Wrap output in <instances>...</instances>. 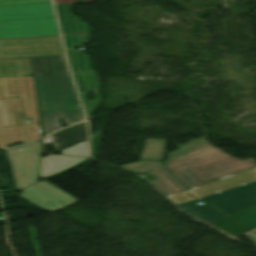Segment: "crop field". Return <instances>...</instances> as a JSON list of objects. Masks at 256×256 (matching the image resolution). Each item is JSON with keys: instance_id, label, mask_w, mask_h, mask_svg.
<instances>
[{"instance_id": "crop-field-9", "label": "crop field", "mask_w": 256, "mask_h": 256, "mask_svg": "<svg viewBox=\"0 0 256 256\" xmlns=\"http://www.w3.org/2000/svg\"><path fill=\"white\" fill-rule=\"evenodd\" d=\"M86 159L88 158L58 155H48V157H42L40 177L44 179Z\"/></svg>"}, {"instance_id": "crop-field-19", "label": "crop field", "mask_w": 256, "mask_h": 256, "mask_svg": "<svg viewBox=\"0 0 256 256\" xmlns=\"http://www.w3.org/2000/svg\"><path fill=\"white\" fill-rule=\"evenodd\" d=\"M161 164H163V162L140 161L137 163L126 164L119 167H122L124 169L140 174L146 170H149Z\"/></svg>"}, {"instance_id": "crop-field-20", "label": "crop field", "mask_w": 256, "mask_h": 256, "mask_svg": "<svg viewBox=\"0 0 256 256\" xmlns=\"http://www.w3.org/2000/svg\"><path fill=\"white\" fill-rule=\"evenodd\" d=\"M63 155H77L81 153L82 156H88V144L87 141L73 147L67 148L61 151ZM78 156V155H77Z\"/></svg>"}, {"instance_id": "crop-field-8", "label": "crop field", "mask_w": 256, "mask_h": 256, "mask_svg": "<svg viewBox=\"0 0 256 256\" xmlns=\"http://www.w3.org/2000/svg\"><path fill=\"white\" fill-rule=\"evenodd\" d=\"M256 180V168L223 177L215 182L190 189V194L199 198Z\"/></svg>"}, {"instance_id": "crop-field-21", "label": "crop field", "mask_w": 256, "mask_h": 256, "mask_svg": "<svg viewBox=\"0 0 256 256\" xmlns=\"http://www.w3.org/2000/svg\"><path fill=\"white\" fill-rule=\"evenodd\" d=\"M173 203L181 204L193 200L194 198L188 195L187 190L176 195L168 196Z\"/></svg>"}, {"instance_id": "crop-field-12", "label": "crop field", "mask_w": 256, "mask_h": 256, "mask_svg": "<svg viewBox=\"0 0 256 256\" xmlns=\"http://www.w3.org/2000/svg\"><path fill=\"white\" fill-rule=\"evenodd\" d=\"M35 75L69 73L64 56L31 58Z\"/></svg>"}, {"instance_id": "crop-field-22", "label": "crop field", "mask_w": 256, "mask_h": 256, "mask_svg": "<svg viewBox=\"0 0 256 256\" xmlns=\"http://www.w3.org/2000/svg\"><path fill=\"white\" fill-rule=\"evenodd\" d=\"M44 2H50V1L49 0H0V6L31 4V3H44Z\"/></svg>"}, {"instance_id": "crop-field-14", "label": "crop field", "mask_w": 256, "mask_h": 256, "mask_svg": "<svg viewBox=\"0 0 256 256\" xmlns=\"http://www.w3.org/2000/svg\"><path fill=\"white\" fill-rule=\"evenodd\" d=\"M33 76L29 58L0 61V78Z\"/></svg>"}, {"instance_id": "crop-field-11", "label": "crop field", "mask_w": 256, "mask_h": 256, "mask_svg": "<svg viewBox=\"0 0 256 256\" xmlns=\"http://www.w3.org/2000/svg\"><path fill=\"white\" fill-rule=\"evenodd\" d=\"M157 179L150 180L161 192L166 196L178 193L185 189V187L175 179L165 165H161L149 170Z\"/></svg>"}, {"instance_id": "crop-field-18", "label": "crop field", "mask_w": 256, "mask_h": 256, "mask_svg": "<svg viewBox=\"0 0 256 256\" xmlns=\"http://www.w3.org/2000/svg\"><path fill=\"white\" fill-rule=\"evenodd\" d=\"M231 218L254 230L256 229V206L237 213Z\"/></svg>"}, {"instance_id": "crop-field-1", "label": "crop field", "mask_w": 256, "mask_h": 256, "mask_svg": "<svg viewBox=\"0 0 256 256\" xmlns=\"http://www.w3.org/2000/svg\"><path fill=\"white\" fill-rule=\"evenodd\" d=\"M92 0L78 2L76 0H54L59 23L63 33L72 73L79 90L82 105L84 107L87 119L89 114L95 112L102 100L98 90L100 82L97 72L93 71L89 55H86L75 47H83L82 44L91 41L88 32L90 31L88 23L81 22V19L72 15L70 6L72 3H89ZM96 91L93 93L95 99L87 102L86 92Z\"/></svg>"}, {"instance_id": "crop-field-3", "label": "crop field", "mask_w": 256, "mask_h": 256, "mask_svg": "<svg viewBox=\"0 0 256 256\" xmlns=\"http://www.w3.org/2000/svg\"><path fill=\"white\" fill-rule=\"evenodd\" d=\"M172 173L189 189L206 182L256 167L253 157L239 160L210 144L167 163Z\"/></svg>"}, {"instance_id": "crop-field-7", "label": "crop field", "mask_w": 256, "mask_h": 256, "mask_svg": "<svg viewBox=\"0 0 256 256\" xmlns=\"http://www.w3.org/2000/svg\"><path fill=\"white\" fill-rule=\"evenodd\" d=\"M199 199L231 216L256 205V181Z\"/></svg>"}, {"instance_id": "crop-field-13", "label": "crop field", "mask_w": 256, "mask_h": 256, "mask_svg": "<svg viewBox=\"0 0 256 256\" xmlns=\"http://www.w3.org/2000/svg\"><path fill=\"white\" fill-rule=\"evenodd\" d=\"M199 200H193L188 203L178 205L183 211L197 218L198 220L212 223L216 220L227 217L226 215L214 210L213 208L202 204H197Z\"/></svg>"}, {"instance_id": "crop-field-16", "label": "crop field", "mask_w": 256, "mask_h": 256, "mask_svg": "<svg viewBox=\"0 0 256 256\" xmlns=\"http://www.w3.org/2000/svg\"><path fill=\"white\" fill-rule=\"evenodd\" d=\"M150 140L151 143H149ZM165 142L164 140L148 139L140 159L160 160Z\"/></svg>"}, {"instance_id": "crop-field-23", "label": "crop field", "mask_w": 256, "mask_h": 256, "mask_svg": "<svg viewBox=\"0 0 256 256\" xmlns=\"http://www.w3.org/2000/svg\"><path fill=\"white\" fill-rule=\"evenodd\" d=\"M246 237H248L251 240V242L256 246V234L254 232L246 235Z\"/></svg>"}, {"instance_id": "crop-field-10", "label": "crop field", "mask_w": 256, "mask_h": 256, "mask_svg": "<svg viewBox=\"0 0 256 256\" xmlns=\"http://www.w3.org/2000/svg\"><path fill=\"white\" fill-rule=\"evenodd\" d=\"M57 151L87 140L86 122L53 134Z\"/></svg>"}, {"instance_id": "crop-field-15", "label": "crop field", "mask_w": 256, "mask_h": 256, "mask_svg": "<svg viewBox=\"0 0 256 256\" xmlns=\"http://www.w3.org/2000/svg\"><path fill=\"white\" fill-rule=\"evenodd\" d=\"M211 225L225 231L226 233L233 237H238L252 231L251 229L245 227L244 225L238 223L237 221L229 217L219 220Z\"/></svg>"}, {"instance_id": "crop-field-5", "label": "crop field", "mask_w": 256, "mask_h": 256, "mask_svg": "<svg viewBox=\"0 0 256 256\" xmlns=\"http://www.w3.org/2000/svg\"><path fill=\"white\" fill-rule=\"evenodd\" d=\"M56 34L51 3L0 7V38Z\"/></svg>"}, {"instance_id": "crop-field-17", "label": "crop field", "mask_w": 256, "mask_h": 256, "mask_svg": "<svg viewBox=\"0 0 256 256\" xmlns=\"http://www.w3.org/2000/svg\"><path fill=\"white\" fill-rule=\"evenodd\" d=\"M208 144H210V143L202 138L200 140L191 141L187 145H176V147H178L179 149H177L173 152H168L167 154H168L169 158L167 160H165L164 162L167 163L171 160H174L180 156H183L187 153H190V152L197 150V149H199L203 146H206Z\"/></svg>"}, {"instance_id": "crop-field-4", "label": "crop field", "mask_w": 256, "mask_h": 256, "mask_svg": "<svg viewBox=\"0 0 256 256\" xmlns=\"http://www.w3.org/2000/svg\"><path fill=\"white\" fill-rule=\"evenodd\" d=\"M44 133L84 119L69 74L35 76Z\"/></svg>"}, {"instance_id": "crop-field-6", "label": "crop field", "mask_w": 256, "mask_h": 256, "mask_svg": "<svg viewBox=\"0 0 256 256\" xmlns=\"http://www.w3.org/2000/svg\"><path fill=\"white\" fill-rule=\"evenodd\" d=\"M64 55L60 37L0 40V60Z\"/></svg>"}, {"instance_id": "crop-field-2", "label": "crop field", "mask_w": 256, "mask_h": 256, "mask_svg": "<svg viewBox=\"0 0 256 256\" xmlns=\"http://www.w3.org/2000/svg\"><path fill=\"white\" fill-rule=\"evenodd\" d=\"M40 148L41 142H33L5 152L12 168L15 188L24 192L19 195L42 210L53 213L78 200L45 180L37 183ZM32 184L35 189L26 188Z\"/></svg>"}]
</instances>
